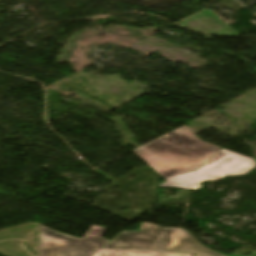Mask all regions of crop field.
Returning <instances> with one entry per match:
<instances>
[{"label":"crop field","mask_w":256,"mask_h":256,"mask_svg":"<svg viewBox=\"0 0 256 256\" xmlns=\"http://www.w3.org/2000/svg\"><path fill=\"white\" fill-rule=\"evenodd\" d=\"M255 161H256V158H255Z\"/></svg>","instance_id":"obj_7"},{"label":"crop field","mask_w":256,"mask_h":256,"mask_svg":"<svg viewBox=\"0 0 256 256\" xmlns=\"http://www.w3.org/2000/svg\"><path fill=\"white\" fill-rule=\"evenodd\" d=\"M105 227L92 225L83 238L63 235L41 225L40 256H90L108 240Z\"/></svg>","instance_id":"obj_4"},{"label":"crop field","mask_w":256,"mask_h":256,"mask_svg":"<svg viewBox=\"0 0 256 256\" xmlns=\"http://www.w3.org/2000/svg\"><path fill=\"white\" fill-rule=\"evenodd\" d=\"M219 150L196 138L184 125L133 152L165 178L197 169Z\"/></svg>","instance_id":"obj_1"},{"label":"crop field","mask_w":256,"mask_h":256,"mask_svg":"<svg viewBox=\"0 0 256 256\" xmlns=\"http://www.w3.org/2000/svg\"><path fill=\"white\" fill-rule=\"evenodd\" d=\"M91 256H191L181 253L144 251V250H115L99 249Z\"/></svg>","instance_id":"obj_5"},{"label":"crop field","mask_w":256,"mask_h":256,"mask_svg":"<svg viewBox=\"0 0 256 256\" xmlns=\"http://www.w3.org/2000/svg\"><path fill=\"white\" fill-rule=\"evenodd\" d=\"M193 256H196V255H193Z\"/></svg>","instance_id":"obj_6"},{"label":"crop field","mask_w":256,"mask_h":256,"mask_svg":"<svg viewBox=\"0 0 256 256\" xmlns=\"http://www.w3.org/2000/svg\"><path fill=\"white\" fill-rule=\"evenodd\" d=\"M256 167L253 159L222 149L195 171L165 178L159 187L198 189L203 181H216L230 175H243Z\"/></svg>","instance_id":"obj_3"},{"label":"crop field","mask_w":256,"mask_h":256,"mask_svg":"<svg viewBox=\"0 0 256 256\" xmlns=\"http://www.w3.org/2000/svg\"><path fill=\"white\" fill-rule=\"evenodd\" d=\"M102 248L144 249L181 252L202 256H224L198 243L181 228L141 224L140 231H121Z\"/></svg>","instance_id":"obj_2"}]
</instances>
